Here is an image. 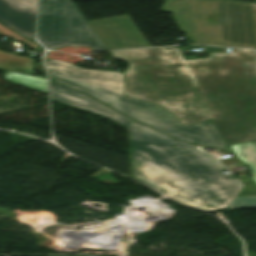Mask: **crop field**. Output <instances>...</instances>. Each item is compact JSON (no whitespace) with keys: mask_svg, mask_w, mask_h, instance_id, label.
Listing matches in <instances>:
<instances>
[{"mask_svg":"<svg viewBox=\"0 0 256 256\" xmlns=\"http://www.w3.org/2000/svg\"><path fill=\"white\" fill-rule=\"evenodd\" d=\"M33 59L0 51V68L32 74Z\"/></svg>","mask_w":256,"mask_h":256,"instance_id":"9","label":"crop field"},{"mask_svg":"<svg viewBox=\"0 0 256 256\" xmlns=\"http://www.w3.org/2000/svg\"><path fill=\"white\" fill-rule=\"evenodd\" d=\"M133 178L189 206L229 207L240 184L201 146L159 134L128 118Z\"/></svg>","mask_w":256,"mask_h":256,"instance_id":"2","label":"crop field"},{"mask_svg":"<svg viewBox=\"0 0 256 256\" xmlns=\"http://www.w3.org/2000/svg\"><path fill=\"white\" fill-rule=\"evenodd\" d=\"M107 50L148 46L128 15L88 22Z\"/></svg>","mask_w":256,"mask_h":256,"instance_id":"6","label":"crop field"},{"mask_svg":"<svg viewBox=\"0 0 256 256\" xmlns=\"http://www.w3.org/2000/svg\"><path fill=\"white\" fill-rule=\"evenodd\" d=\"M0 34L2 35H5V36H8L14 40H18V41H21L23 42L24 44H26L27 46H29L30 48L34 49L36 53L39 52L40 50V46H38L37 44L35 43H32L24 38H22L21 36H19L18 34H16L15 32H13L12 30L0 25Z\"/></svg>","mask_w":256,"mask_h":256,"instance_id":"13","label":"crop field"},{"mask_svg":"<svg viewBox=\"0 0 256 256\" xmlns=\"http://www.w3.org/2000/svg\"><path fill=\"white\" fill-rule=\"evenodd\" d=\"M50 77L91 95L118 111L164 133L193 144L229 150L211 120L186 127L158 104L125 97L123 73L80 69L44 58Z\"/></svg>","mask_w":256,"mask_h":256,"instance_id":"3","label":"crop field"},{"mask_svg":"<svg viewBox=\"0 0 256 256\" xmlns=\"http://www.w3.org/2000/svg\"><path fill=\"white\" fill-rule=\"evenodd\" d=\"M232 50L193 60L179 48L110 53L131 65L127 96L158 103L187 126L211 119L229 145L256 140L255 51Z\"/></svg>","mask_w":256,"mask_h":256,"instance_id":"1","label":"crop field"},{"mask_svg":"<svg viewBox=\"0 0 256 256\" xmlns=\"http://www.w3.org/2000/svg\"><path fill=\"white\" fill-rule=\"evenodd\" d=\"M37 40L49 48L76 45L106 50L71 0H41Z\"/></svg>","mask_w":256,"mask_h":256,"instance_id":"5","label":"crop field"},{"mask_svg":"<svg viewBox=\"0 0 256 256\" xmlns=\"http://www.w3.org/2000/svg\"><path fill=\"white\" fill-rule=\"evenodd\" d=\"M4 73L6 81L47 93L46 81L43 77L20 75L7 71Z\"/></svg>","mask_w":256,"mask_h":256,"instance_id":"10","label":"crop field"},{"mask_svg":"<svg viewBox=\"0 0 256 256\" xmlns=\"http://www.w3.org/2000/svg\"><path fill=\"white\" fill-rule=\"evenodd\" d=\"M248 208H256V196H242L234 199L232 209Z\"/></svg>","mask_w":256,"mask_h":256,"instance_id":"12","label":"crop field"},{"mask_svg":"<svg viewBox=\"0 0 256 256\" xmlns=\"http://www.w3.org/2000/svg\"><path fill=\"white\" fill-rule=\"evenodd\" d=\"M251 6H252L254 30H255V37H256V4L251 3Z\"/></svg>","mask_w":256,"mask_h":256,"instance_id":"14","label":"crop field"},{"mask_svg":"<svg viewBox=\"0 0 256 256\" xmlns=\"http://www.w3.org/2000/svg\"><path fill=\"white\" fill-rule=\"evenodd\" d=\"M254 145L256 146V142L254 143Z\"/></svg>","mask_w":256,"mask_h":256,"instance_id":"15","label":"crop field"},{"mask_svg":"<svg viewBox=\"0 0 256 256\" xmlns=\"http://www.w3.org/2000/svg\"><path fill=\"white\" fill-rule=\"evenodd\" d=\"M161 11L173 12L178 26L195 43L256 48L248 2L165 0ZM207 15H216L217 23L211 25Z\"/></svg>","mask_w":256,"mask_h":256,"instance_id":"4","label":"crop field"},{"mask_svg":"<svg viewBox=\"0 0 256 256\" xmlns=\"http://www.w3.org/2000/svg\"><path fill=\"white\" fill-rule=\"evenodd\" d=\"M37 2L38 0H0V21L34 40Z\"/></svg>","mask_w":256,"mask_h":256,"instance_id":"7","label":"crop field"},{"mask_svg":"<svg viewBox=\"0 0 256 256\" xmlns=\"http://www.w3.org/2000/svg\"><path fill=\"white\" fill-rule=\"evenodd\" d=\"M231 148L239 159L250 166L253 172V179L256 182V148L253 143L233 145Z\"/></svg>","mask_w":256,"mask_h":256,"instance_id":"11","label":"crop field"},{"mask_svg":"<svg viewBox=\"0 0 256 256\" xmlns=\"http://www.w3.org/2000/svg\"><path fill=\"white\" fill-rule=\"evenodd\" d=\"M51 99L101 115L128 129L127 118L88 96L50 80Z\"/></svg>","mask_w":256,"mask_h":256,"instance_id":"8","label":"crop field"}]
</instances>
